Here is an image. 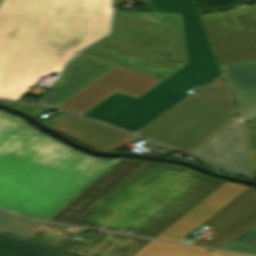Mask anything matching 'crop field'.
<instances>
[{"mask_svg":"<svg viewBox=\"0 0 256 256\" xmlns=\"http://www.w3.org/2000/svg\"><path fill=\"white\" fill-rule=\"evenodd\" d=\"M151 2L154 12L181 13L188 64L137 99L116 92L82 116L134 132L189 88H202L137 132L192 153L237 115L228 75L219 70L193 0Z\"/></svg>","mask_w":256,"mask_h":256,"instance_id":"crop-field-1","label":"crop field"},{"mask_svg":"<svg viewBox=\"0 0 256 256\" xmlns=\"http://www.w3.org/2000/svg\"><path fill=\"white\" fill-rule=\"evenodd\" d=\"M223 183L122 159L48 221L155 238Z\"/></svg>","mask_w":256,"mask_h":256,"instance_id":"crop-field-2","label":"crop field"},{"mask_svg":"<svg viewBox=\"0 0 256 256\" xmlns=\"http://www.w3.org/2000/svg\"><path fill=\"white\" fill-rule=\"evenodd\" d=\"M112 0H3L0 98L17 100L42 75L108 34Z\"/></svg>","mask_w":256,"mask_h":256,"instance_id":"crop-field-3","label":"crop field"},{"mask_svg":"<svg viewBox=\"0 0 256 256\" xmlns=\"http://www.w3.org/2000/svg\"><path fill=\"white\" fill-rule=\"evenodd\" d=\"M118 160L89 157L0 112V209L45 221Z\"/></svg>","mask_w":256,"mask_h":256,"instance_id":"crop-field-4","label":"crop field"},{"mask_svg":"<svg viewBox=\"0 0 256 256\" xmlns=\"http://www.w3.org/2000/svg\"><path fill=\"white\" fill-rule=\"evenodd\" d=\"M200 17L219 65L256 61V4Z\"/></svg>","mask_w":256,"mask_h":256,"instance_id":"crop-field-5","label":"crop field"},{"mask_svg":"<svg viewBox=\"0 0 256 256\" xmlns=\"http://www.w3.org/2000/svg\"><path fill=\"white\" fill-rule=\"evenodd\" d=\"M65 226L44 223L26 237L31 241L81 256H132L149 241L100 232L90 243L72 239L81 229L64 232Z\"/></svg>","mask_w":256,"mask_h":256,"instance_id":"crop-field-6","label":"crop field"},{"mask_svg":"<svg viewBox=\"0 0 256 256\" xmlns=\"http://www.w3.org/2000/svg\"><path fill=\"white\" fill-rule=\"evenodd\" d=\"M159 82L115 66L56 108L81 115L116 91L137 98Z\"/></svg>","mask_w":256,"mask_h":256,"instance_id":"crop-field-7","label":"crop field"},{"mask_svg":"<svg viewBox=\"0 0 256 256\" xmlns=\"http://www.w3.org/2000/svg\"><path fill=\"white\" fill-rule=\"evenodd\" d=\"M203 224L214 228L210 240L201 238L195 245L219 248L229 240L256 225V193L247 188Z\"/></svg>","mask_w":256,"mask_h":256,"instance_id":"crop-field-8","label":"crop field"},{"mask_svg":"<svg viewBox=\"0 0 256 256\" xmlns=\"http://www.w3.org/2000/svg\"><path fill=\"white\" fill-rule=\"evenodd\" d=\"M192 154L229 169L255 176L237 118Z\"/></svg>","mask_w":256,"mask_h":256,"instance_id":"crop-field-9","label":"crop field"},{"mask_svg":"<svg viewBox=\"0 0 256 256\" xmlns=\"http://www.w3.org/2000/svg\"><path fill=\"white\" fill-rule=\"evenodd\" d=\"M113 66L101 60L79 54L68 63L60 81L49 90L39 104L57 106Z\"/></svg>","mask_w":256,"mask_h":256,"instance_id":"crop-field-10","label":"crop field"},{"mask_svg":"<svg viewBox=\"0 0 256 256\" xmlns=\"http://www.w3.org/2000/svg\"><path fill=\"white\" fill-rule=\"evenodd\" d=\"M246 188L226 182L156 238L179 242Z\"/></svg>","mask_w":256,"mask_h":256,"instance_id":"crop-field-11","label":"crop field"},{"mask_svg":"<svg viewBox=\"0 0 256 256\" xmlns=\"http://www.w3.org/2000/svg\"><path fill=\"white\" fill-rule=\"evenodd\" d=\"M55 130L89 148L101 151H112L140 139L80 117Z\"/></svg>","mask_w":256,"mask_h":256,"instance_id":"crop-field-12","label":"crop field"},{"mask_svg":"<svg viewBox=\"0 0 256 256\" xmlns=\"http://www.w3.org/2000/svg\"><path fill=\"white\" fill-rule=\"evenodd\" d=\"M219 67L229 75L240 123L256 120V62Z\"/></svg>","mask_w":256,"mask_h":256,"instance_id":"crop-field-13","label":"crop field"},{"mask_svg":"<svg viewBox=\"0 0 256 256\" xmlns=\"http://www.w3.org/2000/svg\"><path fill=\"white\" fill-rule=\"evenodd\" d=\"M206 249L152 240L134 256H245L215 251L206 253Z\"/></svg>","mask_w":256,"mask_h":256,"instance_id":"crop-field-14","label":"crop field"},{"mask_svg":"<svg viewBox=\"0 0 256 256\" xmlns=\"http://www.w3.org/2000/svg\"><path fill=\"white\" fill-rule=\"evenodd\" d=\"M0 256H72L0 234Z\"/></svg>","mask_w":256,"mask_h":256,"instance_id":"crop-field-15","label":"crop field"},{"mask_svg":"<svg viewBox=\"0 0 256 256\" xmlns=\"http://www.w3.org/2000/svg\"><path fill=\"white\" fill-rule=\"evenodd\" d=\"M41 224V222L0 212V232L14 237L23 239Z\"/></svg>","mask_w":256,"mask_h":256,"instance_id":"crop-field-16","label":"crop field"},{"mask_svg":"<svg viewBox=\"0 0 256 256\" xmlns=\"http://www.w3.org/2000/svg\"><path fill=\"white\" fill-rule=\"evenodd\" d=\"M241 127L251 164L256 172V121L242 124Z\"/></svg>","mask_w":256,"mask_h":256,"instance_id":"crop-field-17","label":"crop field"},{"mask_svg":"<svg viewBox=\"0 0 256 256\" xmlns=\"http://www.w3.org/2000/svg\"><path fill=\"white\" fill-rule=\"evenodd\" d=\"M236 243L256 250V226L232 239Z\"/></svg>","mask_w":256,"mask_h":256,"instance_id":"crop-field-18","label":"crop field"},{"mask_svg":"<svg viewBox=\"0 0 256 256\" xmlns=\"http://www.w3.org/2000/svg\"><path fill=\"white\" fill-rule=\"evenodd\" d=\"M77 116H73V115H69V114H61L51 120H48L46 122H43V124L55 129L69 121H71L72 119L76 118Z\"/></svg>","mask_w":256,"mask_h":256,"instance_id":"crop-field-19","label":"crop field"},{"mask_svg":"<svg viewBox=\"0 0 256 256\" xmlns=\"http://www.w3.org/2000/svg\"><path fill=\"white\" fill-rule=\"evenodd\" d=\"M3 104L13 107L15 109L23 110L28 114H32V112L35 109V106H29V105H16V104H9V103H5V102Z\"/></svg>","mask_w":256,"mask_h":256,"instance_id":"crop-field-20","label":"crop field"},{"mask_svg":"<svg viewBox=\"0 0 256 256\" xmlns=\"http://www.w3.org/2000/svg\"><path fill=\"white\" fill-rule=\"evenodd\" d=\"M0 103H2V102H0Z\"/></svg>","mask_w":256,"mask_h":256,"instance_id":"crop-field-21","label":"crop field"},{"mask_svg":"<svg viewBox=\"0 0 256 256\" xmlns=\"http://www.w3.org/2000/svg\"><path fill=\"white\" fill-rule=\"evenodd\" d=\"M1 1V0H0Z\"/></svg>","mask_w":256,"mask_h":256,"instance_id":"crop-field-22","label":"crop field"}]
</instances>
